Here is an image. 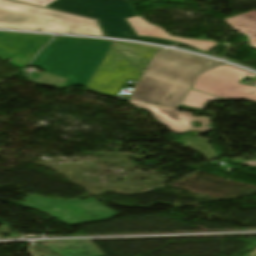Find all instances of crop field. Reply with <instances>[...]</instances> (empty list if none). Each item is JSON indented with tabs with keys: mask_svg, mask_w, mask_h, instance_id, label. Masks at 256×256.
I'll list each match as a JSON object with an SVG mask.
<instances>
[{
	"mask_svg": "<svg viewBox=\"0 0 256 256\" xmlns=\"http://www.w3.org/2000/svg\"><path fill=\"white\" fill-rule=\"evenodd\" d=\"M218 65L220 62L182 52H160L131 97L177 109L197 75Z\"/></svg>",
	"mask_w": 256,
	"mask_h": 256,
	"instance_id": "1",
	"label": "crop field"
},
{
	"mask_svg": "<svg viewBox=\"0 0 256 256\" xmlns=\"http://www.w3.org/2000/svg\"><path fill=\"white\" fill-rule=\"evenodd\" d=\"M62 10L97 19L106 36L142 40L165 45L178 42L152 37H137L127 23V17L136 15L128 0H15Z\"/></svg>",
	"mask_w": 256,
	"mask_h": 256,
	"instance_id": "2",
	"label": "crop field"
},
{
	"mask_svg": "<svg viewBox=\"0 0 256 256\" xmlns=\"http://www.w3.org/2000/svg\"><path fill=\"white\" fill-rule=\"evenodd\" d=\"M49 18L60 21L52 29L42 26ZM0 28L103 36L95 20L6 0H0Z\"/></svg>",
	"mask_w": 256,
	"mask_h": 256,
	"instance_id": "3",
	"label": "crop field"
},
{
	"mask_svg": "<svg viewBox=\"0 0 256 256\" xmlns=\"http://www.w3.org/2000/svg\"><path fill=\"white\" fill-rule=\"evenodd\" d=\"M246 76L253 78L256 75L229 65H222L204 74L198 75L192 88L225 99H246L256 101V87L238 83ZM195 90H189L182 105L203 109L205 102L220 99ZM250 92H253V94Z\"/></svg>",
	"mask_w": 256,
	"mask_h": 256,
	"instance_id": "4",
	"label": "crop field"
},
{
	"mask_svg": "<svg viewBox=\"0 0 256 256\" xmlns=\"http://www.w3.org/2000/svg\"><path fill=\"white\" fill-rule=\"evenodd\" d=\"M22 205L34 207L39 210H46L48 214L69 226L109 218L116 214V212L93 200L63 201L29 196ZM85 212H90L99 216V218L94 219L90 215L85 214ZM71 218H74V220H71Z\"/></svg>",
	"mask_w": 256,
	"mask_h": 256,
	"instance_id": "5",
	"label": "crop field"
},
{
	"mask_svg": "<svg viewBox=\"0 0 256 256\" xmlns=\"http://www.w3.org/2000/svg\"><path fill=\"white\" fill-rule=\"evenodd\" d=\"M142 72L111 48L86 90L114 96L126 79L138 80Z\"/></svg>",
	"mask_w": 256,
	"mask_h": 256,
	"instance_id": "6",
	"label": "crop field"
},
{
	"mask_svg": "<svg viewBox=\"0 0 256 256\" xmlns=\"http://www.w3.org/2000/svg\"><path fill=\"white\" fill-rule=\"evenodd\" d=\"M128 102L138 108L151 112L158 123L168 127L176 134L186 131L208 132L213 130V127H206V125L211 124L208 117H192L191 114H181L173 109L162 108L133 99H130ZM191 122H201L203 127L195 128L192 126Z\"/></svg>",
	"mask_w": 256,
	"mask_h": 256,
	"instance_id": "7",
	"label": "crop field"
},
{
	"mask_svg": "<svg viewBox=\"0 0 256 256\" xmlns=\"http://www.w3.org/2000/svg\"><path fill=\"white\" fill-rule=\"evenodd\" d=\"M51 38L43 35L0 32V58L5 60L19 53L33 56Z\"/></svg>",
	"mask_w": 256,
	"mask_h": 256,
	"instance_id": "8",
	"label": "crop field"
},
{
	"mask_svg": "<svg viewBox=\"0 0 256 256\" xmlns=\"http://www.w3.org/2000/svg\"><path fill=\"white\" fill-rule=\"evenodd\" d=\"M127 21L131 25V27L133 28L137 36H152L157 38L178 41L204 51L210 50L212 47L216 45V43L209 42V41L180 39V38L170 37L164 30L146 23L145 21H143L141 18L137 16L127 18Z\"/></svg>",
	"mask_w": 256,
	"mask_h": 256,
	"instance_id": "9",
	"label": "crop field"
},
{
	"mask_svg": "<svg viewBox=\"0 0 256 256\" xmlns=\"http://www.w3.org/2000/svg\"><path fill=\"white\" fill-rule=\"evenodd\" d=\"M61 256H104L91 241L39 243Z\"/></svg>",
	"mask_w": 256,
	"mask_h": 256,
	"instance_id": "10",
	"label": "crop field"
},
{
	"mask_svg": "<svg viewBox=\"0 0 256 256\" xmlns=\"http://www.w3.org/2000/svg\"><path fill=\"white\" fill-rule=\"evenodd\" d=\"M113 47L138 65L143 71H145L154 53L161 50V48L121 42H115Z\"/></svg>",
	"mask_w": 256,
	"mask_h": 256,
	"instance_id": "11",
	"label": "crop field"
},
{
	"mask_svg": "<svg viewBox=\"0 0 256 256\" xmlns=\"http://www.w3.org/2000/svg\"><path fill=\"white\" fill-rule=\"evenodd\" d=\"M227 22L238 32L247 34L250 44L256 47V11L232 17Z\"/></svg>",
	"mask_w": 256,
	"mask_h": 256,
	"instance_id": "12",
	"label": "crop field"
},
{
	"mask_svg": "<svg viewBox=\"0 0 256 256\" xmlns=\"http://www.w3.org/2000/svg\"><path fill=\"white\" fill-rule=\"evenodd\" d=\"M31 59H32L31 56L19 54L12 57L10 63L21 68L23 65H27Z\"/></svg>",
	"mask_w": 256,
	"mask_h": 256,
	"instance_id": "13",
	"label": "crop field"
},
{
	"mask_svg": "<svg viewBox=\"0 0 256 256\" xmlns=\"http://www.w3.org/2000/svg\"><path fill=\"white\" fill-rule=\"evenodd\" d=\"M233 162H236V163H239V164H242V165L256 166V160H253V161H241V160H236V161H233Z\"/></svg>",
	"mask_w": 256,
	"mask_h": 256,
	"instance_id": "14",
	"label": "crop field"
},
{
	"mask_svg": "<svg viewBox=\"0 0 256 256\" xmlns=\"http://www.w3.org/2000/svg\"><path fill=\"white\" fill-rule=\"evenodd\" d=\"M57 22H58L57 20L49 19V20L45 21L44 26L52 28Z\"/></svg>",
	"mask_w": 256,
	"mask_h": 256,
	"instance_id": "15",
	"label": "crop field"
}]
</instances>
